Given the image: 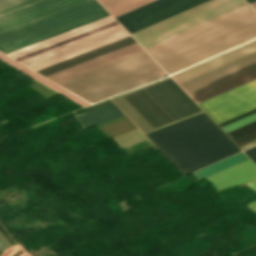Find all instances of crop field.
I'll list each match as a JSON object with an SVG mask.
<instances>
[{
    "label": "crop field",
    "mask_w": 256,
    "mask_h": 256,
    "mask_svg": "<svg viewBox=\"0 0 256 256\" xmlns=\"http://www.w3.org/2000/svg\"><path fill=\"white\" fill-rule=\"evenodd\" d=\"M127 36L109 16L7 55L37 71Z\"/></svg>",
    "instance_id": "obj_7"
},
{
    "label": "crop field",
    "mask_w": 256,
    "mask_h": 256,
    "mask_svg": "<svg viewBox=\"0 0 256 256\" xmlns=\"http://www.w3.org/2000/svg\"><path fill=\"white\" fill-rule=\"evenodd\" d=\"M256 49V40L172 76L177 82ZM256 78V50L179 82L197 102Z\"/></svg>",
    "instance_id": "obj_8"
},
{
    "label": "crop field",
    "mask_w": 256,
    "mask_h": 256,
    "mask_svg": "<svg viewBox=\"0 0 256 256\" xmlns=\"http://www.w3.org/2000/svg\"><path fill=\"white\" fill-rule=\"evenodd\" d=\"M246 160H248V158L243 153H239V154H237L235 156H232V157H230L228 159H225V160H223L221 162H218V163H216L214 165H211V166H209L207 168H204V169H202L200 171H197V172L193 173V175L195 176V178L197 180H199L201 178H205V177H207L209 175H212V174H214L216 172H219L221 170H224L226 168H229L231 166H234V165H236L238 163H241L243 161H246Z\"/></svg>",
    "instance_id": "obj_15"
},
{
    "label": "crop field",
    "mask_w": 256,
    "mask_h": 256,
    "mask_svg": "<svg viewBox=\"0 0 256 256\" xmlns=\"http://www.w3.org/2000/svg\"><path fill=\"white\" fill-rule=\"evenodd\" d=\"M250 158L256 156V146L245 151Z\"/></svg>",
    "instance_id": "obj_21"
},
{
    "label": "crop field",
    "mask_w": 256,
    "mask_h": 256,
    "mask_svg": "<svg viewBox=\"0 0 256 256\" xmlns=\"http://www.w3.org/2000/svg\"><path fill=\"white\" fill-rule=\"evenodd\" d=\"M164 75L142 50L57 83L93 103Z\"/></svg>",
    "instance_id": "obj_5"
},
{
    "label": "crop field",
    "mask_w": 256,
    "mask_h": 256,
    "mask_svg": "<svg viewBox=\"0 0 256 256\" xmlns=\"http://www.w3.org/2000/svg\"><path fill=\"white\" fill-rule=\"evenodd\" d=\"M23 1L25 0H0V10Z\"/></svg>",
    "instance_id": "obj_19"
},
{
    "label": "crop field",
    "mask_w": 256,
    "mask_h": 256,
    "mask_svg": "<svg viewBox=\"0 0 256 256\" xmlns=\"http://www.w3.org/2000/svg\"><path fill=\"white\" fill-rule=\"evenodd\" d=\"M254 112H256V109H253V110H251L249 112H246V113H244L242 115H239V116H237V117H235L233 119H230V120H228L226 122H223V123H221L219 125H220V127H222V126H224L226 124H229V123H231V122H233L235 120H238V119H240L242 117H245V116H247V115H249L251 113H254ZM227 134L238 144L239 147H242V146H244L246 144H249V143H251L253 141H256V120L251 122V123H248V124H246L244 126H241V127L237 128V129H234V130H232L230 132H227Z\"/></svg>",
    "instance_id": "obj_14"
},
{
    "label": "crop field",
    "mask_w": 256,
    "mask_h": 256,
    "mask_svg": "<svg viewBox=\"0 0 256 256\" xmlns=\"http://www.w3.org/2000/svg\"><path fill=\"white\" fill-rule=\"evenodd\" d=\"M0 58L6 62H8L9 64L13 65L14 67L20 69L21 71L27 73L28 75L34 77L35 79L41 81L42 83L48 85L49 87L55 89L56 91L62 93L63 95L69 97L70 99L76 101L77 103L85 106V105H89L88 103L84 102L83 100L77 98L76 96L72 95L71 93L65 91L64 89L58 87L57 85L51 83L50 81L44 79L43 77L39 76L38 74L32 72L31 70L25 68L24 66L18 64L17 62L11 60L10 58L6 57L5 55L0 53Z\"/></svg>",
    "instance_id": "obj_16"
},
{
    "label": "crop field",
    "mask_w": 256,
    "mask_h": 256,
    "mask_svg": "<svg viewBox=\"0 0 256 256\" xmlns=\"http://www.w3.org/2000/svg\"><path fill=\"white\" fill-rule=\"evenodd\" d=\"M251 5L256 9V1L251 3Z\"/></svg>",
    "instance_id": "obj_22"
},
{
    "label": "crop field",
    "mask_w": 256,
    "mask_h": 256,
    "mask_svg": "<svg viewBox=\"0 0 256 256\" xmlns=\"http://www.w3.org/2000/svg\"><path fill=\"white\" fill-rule=\"evenodd\" d=\"M199 105L217 124L256 108V79Z\"/></svg>",
    "instance_id": "obj_9"
},
{
    "label": "crop field",
    "mask_w": 256,
    "mask_h": 256,
    "mask_svg": "<svg viewBox=\"0 0 256 256\" xmlns=\"http://www.w3.org/2000/svg\"><path fill=\"white\" fill-rule=\"evenodd\" d=\"M151 1H153V0H129L127 2H124V3L120 4V5H117L115 7H112L110 9H108V11L114 17H116V16H118L120 14H123V13H125L127 11L132 10V9H135V8H137L139 6H142V5L146 4V3H149Z\"/></svg>",
    "instance_id": "obj_17"
},
{
    "label": "crop field",
    "mask_w": 256,
    "mask_h": 256,
    "mask_svg": "<svg viewBox=\"0 0 256 256\" xmlns=\"http://www.w3.org/2000/svg\"><path fill=\"white\" fill-rule=\"evenodd\" d=\"M10 246L8 241L3 237V235L0 233V248L3 249L5 247Z\"/></svg>",
    "instance_id": "obj_20"
},
{
    "label": "crop field",
    "mask_w": 256,
    "mask_h": 256,
    "mask_svg": "<svg viewBox=\"0 0 256 256\" xmlns=\"http://www.w3.org/2000/svg\"><path fill=\"white\" fill-rule=\"evenodd\" d=\"M146 136L183 174L240 151L204 113Z\"/></svg>",
    "instance_id": "obj_4"
},
{
    "label": "crop field",
    "mask_w": 256,
    "mask_h": 256,
    "mask_svg": "<svg viewBox=\"0 0 256 256\" xmlns=\"http://www.w3.org/2000/svg\"><path fill=\"white\" fill-rule=\"evenodd\" d=\"M139 50H142V48L137 43H135L130 46L124 47L122 49L116 50L114 52L108 53L106 55L100 56L98 58L92 59L90 61L84 62L82 64L76 65L74 67L68 68L66 70L60 71L58 73L52 74L47 77L57 82L59 80L65 79L67 77L73 76L75 74L81 73L83 71L89 70L91 68L97 67L99 65L105 64L107 62L113 61L115 59L129 55L131 53L137 52Z\"/></svg>",
    "instance_id": "obj_11"
},
{
    "label": "crop field",
    "mask_w": 256,
    "mask_h": 256,
    "mask_svg": "<svg viewBox=\"0 0 256 256\" xmlns=\"http://www.w3.org/2000/svg\"><path fill=\"white\" fill-rule=\"evenodd\" d=\"M252 160L256 163V157L252 158Z\"/></svg>",
    "instance_id": "obj_23"
},
{
    "label": "crop field",
    "mask_w": 256,
    "mask_h": 256,
    "mask_svg": "<svg viewBox=\"0 0 256 256\" xmlns=\"http://www.w3.org/2000/svg\"><path fill=\"white\" fill-rule=\"evenodd\" d=\"M106 9L122 3L127 0H98Z\"/></svg>",
    "instance_id": "obj_18"
},
{
    "label": "crop field",
    "mask_w": 256,
    "mask_h": 256,
    "mask_svg": "<svg viewBox=\"0 0 256 256\" xmlns=\"http://www.w3.org/2000/svg\"><path fill=\"white\" fill-rule=\"evenodd\" d=\"M135 43V40L131 38V36L121 39L119 41L113 42L111 44L105 45L98 49L92 50L90 52L84 53L82 55L76 56L74 58L68 59L61 63L55 64L53 66L47 67L45 69L39 70L40 74L47 76L52 73L58 72L60 70L66 69L68 67L74 66L76 64L82 63L84 61L90 60L92 58L98 57L100 55L106 54L108 52L114 51L116 49L122 48L124 46Z\"/></svg>",
    "instance_id": "obj_12"
},
{
    "label": "crop field",
    "mask_w": 256,
    "mask_h": 256,
    "mask_svg": "<svg viewBox=\"0 0 256 256\" xmlns=\"http://www.w3.org/2000/svg\"><path fill=\"white\" fill-rule=\"evenodd\" d=\"M143 88L176 121L202 113L195 103L169 77L143 86ZM142 87L122 94L130 105L154 129L175 123V121L158 105ZM121 95L112 100L144 133L153 131L145 120L128 104Z\"/></svg>",
    "instance_id": "obj_6"
},
{
    "label": "crop field",
    "mask_w": 256,
    "mask_h": 256,
    "mask_svg": "<svg viewBox=\"0 0 256 256\" xmlns=\"http://www.w3.org/2000/svg\"><path fill=\"white\" fill-rule=\"evenodd\" d=\"M249 3H251V2H253V1H255V0H247Z\"/></svg>",
    "instance_id": "obj_24"
},
{
    "label": "crop field",
    "mask_w": 256,
    "mask_h": 256,
    "mask_svg": "<svg viewBox=\"0 0 256 256\" xmlns=\"http://www.w3.org/2000/svg\"><path fill=\"white\" fill-rule=\"evenodd\" d=\"M205 1L207 0H156L116 19L132 34ZM245 5L247 3L244 0H209L132 36L146 48Z\"/></svg>",
    "instance_id": "obj_3"
},
{
    "label": "crop field",
    "mask_w": 256,
    "mask_h": 256,
    "mask_svg": "<svg viewBox=\"0 0 256 256\" xmlns=\"http://www.w3.org/2000/svg\"><path fill=\"white\" fill-rule=\"evenodd\" d=\"M94 0H28L0 11V35ZM109 16L96 2L50 17L0 36L7 54L36 42Z\"/></svg>",
    "instance_id": "obj_1"
},
{
    "label": "crop field",
    "mask_w": 256,
    "mask_h": 256,
    "mask_svg": "<svg viewBox=\"0 0 256 256\" xmlns=\"http://www.w3.org/2000/svg\"><path fill=\"white\" fill-rule=\"evenodd\" d=\"M256 37V12L249 6L146 48L172 73Z\"/></svg>",
    "instance_id": "obj_2"
},
{
    "label": "crop field",
    "mask_w": 256,
    "mask_h": 256,
    "mask_svg": "<svg viewBox=\"0 0 256 256\" xmlns=\"http://www.w3.org/2000/svg\"><path fill=\"white\" fill-rule=\"evenodd\" d=\"M207 179L218 191L252 180L246 184L256 192V166L250 160L212 175ZM248 206L249 209L256 212V200L249 203Z\"/></svg>",
    "instance_id": "obj_10"
},
{
    "label": "crop field",
    "mask_w": 256,
    "mask_h": 256,
    "mask_svg": "<svg viewBox=\"0 0 256 256\" xmlns=\"http://www.w3.org/2000/svg\"><path fill=\"white\" fill-rule=\"evenodd\" d=\"M123 116L117 107L110 101L99 106L76 114V117L84 129L104 123L106 121Z\"/></svg>",
    "instance_id": "obj_13"
}]
</instances>
